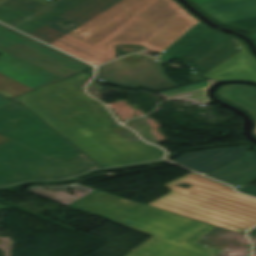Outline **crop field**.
Here are the masks:
<instances>
[{
    "label": "crop field",
    "instance_id": "e52e79f7",
    "mask_svg": "<svg viewBox=\"0 0 256 256\" xmlns=\"http://www.w3.org/2000/svg\"><path fill=\"white\" fill-rule=\"evenodd\" d=\"M0 50L62 79L90 68L2 26H0Z\"/></svg>",
    "mask_w": 256,
    "mask_h": 256
},
{
    "label": "crop field",
    "instance_id": "00972430",
    "mask_svg": "<svg viewBox=\"0 0 256 256\" xmlns=\"http://www.w3.org/2000/svg\"><path fill=\"white\" fill-rule=\"evenodd\" d=\"M5 1H7V0H0V4L3 3V2H5Z\"/></svg>",
    "mask_w": 256,
    "mask_h": 256
},
{
    "label": "crop field",
    "instance_id": "ac0d7876",
    "mask_svg": "<svg viewBox=\"0 0 256 256\" xmlns=\"http://www.w3.org/2000/svg\"><path fill=\"white\" fill-rule=\"evenodd\" d=\"M87 78L83 72L16 99L104 167L161 158L163 150L142 141L130 143L108 127L107 110L83 92Z\"/></svg>",
    "mask_w": 256,
    "mask_h": 256
},
{
    "label": "crop field",
    "instance_id": "8a807250",
    "mask_svg": "<svg viewBox=\"0 0 256 256\" xmlns=\"http://www.w3.org/2000/svg\"><path fill=\"white\" fill-rule=\"evenodd\" d=\"M50 22L29 35L98 65L115 58L116 44L160 53L199 21L173 0H85Z\"/></svg>",
    "mask_w": 256,
    "mask_h": 256
},
{
    "label": "crop field",
    "instance_id": "4177f3b9",
    "mask_svg": "<svg viewBox=\"0 0 256 256\" xmlns=\"http://www.w3.org/2000/svg\"><path fill=\"white\" fill-rule=\"evenodd\" d=\"M255 134H256V130H255Z\"/></svg>",
    "mask_w": 256,
    "mask_h": 256
},
{
    "label": "crop field",
    "instance_id": "412701ff",
    "mask_svg": "<svg viewBox=\"0 0 256 256\" xmlns=\"http://www.w3.org/2000/svg\"><path fill=\"white\" fill-rule=\"evenodd\" d=\"M176 183L194 187L185 189ZM162 187L172 191L148 205L239 233L256 224V200L227 186L190 173Z\"/></svg>",
    "mask_w": 256,
    "mask_h": 256
},
{
    "label": "crop field",
    "instance_id": "92a150f3",
    "mask_svg": "<svg viewBox=\"0 0 256 256\" xmlns=\"http://www.w3.org/2000/svg\"><path fill=\"white\" fill-rule=\"evenodd\" d=\"M11 102L10 100L0 96V106L5 105L7 103Z\"/></svg>",
    "mask_w": 256,
    "mask_h": 256
},
{
    "label": "crop field",
    "instance_id": "733c2abd",
    "mask_svg": "<svg viewBox=\"0 0 256 256\" xmlns=\"http://www.w3.org/2000/svg\"><path fill=\"white\" fill-rule=\"evenodd\" d=\"M46 156L13 141L0 145V161L40 159Z\"/></svg>",
    "mask_w": 256,
    "mask_h": 256
},
{
    "label": "crop field",
    "instance_id": "d8731c3e",
    "mask_svg": "<svg viewBox=\"0 0 256 256\" xmlns=\"http://www.w3.org/2000/svg\"><path fill=\"white\" fill-rule=\"evenodd\" d=\"M162 62L143 55H130L98 69L96 79L137 88L156 91L177 87L164 74Z\"/></svg>",
    "mask_w": 256,
    "mask_h": 256
},
{
    "label": "crop field",
    "instance_id": "28ad6ade",
    "mask_svg": "<svg viewBox=\"0 0 256 256\" xmlns=\"http://www.w3.org/2000/svg\"><path fill=\"white\" fill-rule=\"evenodd\" d=\"M0 95L9 99L61 80L16 57L0 51Z\"/></svg>",
    "mask_w": 256,
    "mask_h": 256
},
{
    "label": "crop field",
    "instance_id": "dafd665d",
    "mask_svg": "<svg viewBox=\"0 0 256 256\" xmlns=\"http://www.w3.org/2000/svg\"><path fill=\"white\" fill-rule=\"evenodd\" d=\"M251 36L256 39V33L255 34H251Z\"/></svg>",
    "mask_w": 256,
    "mask_h": 256
},
{
    "label": "crop field",
    "instance_id": "cbeb9de0",
    "mask_svg": "<svg viewBox=\"0 0 256 256\" xmlns=\"http://www.w3.org/2000/svg\"><path fill=\"white\" fill-rule=\"evenodd\" d=\"M244 155V158L207 176L241 187L256 181V152L250 150Z\"/></svg>",
    "mask_w": 256,
    "mask_h": 256
},
{
    "label": "crop field",
    "instance_id": "bc2a9ffb",
    "mask_svg": "<svg viewBox=\"0 0 256 256\" xmlns=\"http://www.w3.org/2000/svg\"><path fill=\"white\" fill-rule=\"evenodd\" d=\"M239 191L256 196V187L251 185L245 188L239 189Z\"/></svg>",
    "mask_w": 256,
    "mask_h": 256
},
{
    "label": "crop field",
    "instance_id": "214f88e0",
    "mask_svg": "<svg viewBox=\"0 0 256 256\" xmlns=\"http://www.w3.org/2000/svg\"><path fill=\"white\" fill-rule=\"evenodd\" d=\"M202 80H206L204 78H201V77H198L192 73H190V78H189V81L195 83V82H199V81H202Z\"/></svg>",
    "mask_w": 256,
    "mask_h": 256
},
{
    "label": "crop field",
    "instance_id": "d9b57169",
    "mask_svg": "<svg viewBox=\"0 0 256 256\" xmlns=\"http://www.w3.org/2000/svg\"><path fill=\"white\" fill-rule=\"evenodd\" d=\"M240 54L241 52L239 51L236 54L232 55L208 73L206 72L207 74H203V77L208 78L210 80H220L227 78H242L256 80V76L237 68Z\"/></svg>",
    "mask_w": 256,
    "mask_h": 256
},
{
    "label": "crop field",
    "instance_id": "3316defc",
    "mask_svg": "<svg viewBox=\"0 0 256 256\" xmlns=\"http://www.w3.org/2000/svg\"><path fill=\"white\" fill-rule=\"evenodd\" d=\"M27 1L28 0H8L0 5V22L12 27L52 3L40 0ZM82 1L84 0H59L54 5L33 16L15 29L29 34Z\"/></svg>",
    "mask_w": 256,
    "mask_h": 256
},
{
    "label": "crop field",
    "instance_id": "34b2d1b8",
    "mask_svg": "<svg viewBox=\"0 0 256 256\" xmlns=\"http://www.w3.org/2000/svg\"><path fill=\"white\" fill-rule=\"evenodd\" d=\"M69 207L153 235L127 256H216L220 251L197 243L213 229L205 223L95 190Z\"/></svg>",
    "mask_w": 256,
    "mask_h": 256
},
{
    "label": "crop field",
    "instance_id": "4a817a6b",
    "mask_svg": "<svg viewBox=\"0 0 256 256\" xmlns=\"http://www.w3.org/2000/svg\"><path fill=\"white\" fill-rule=\"evenodd\" d=\"M234 42L238 45V47L241 49L242 52L240 62H239V68L248 71L254 75H256V60H254L247 52L245 46L239 42L237 39L231 37ZM232 40V41H233Z\"/></svg>",
    "mask_w": 256,
    "mask_h": 256
},
{
    "label": "crop field",
    "instance_id": "a9b5d70f",
    "mask_svg": "<svg viewBox=\"0 0 256 256\" xmlns=\"http://www.w3.org/2000/svg\"><path fill=\"white\" fill-rule=\"evenodd\" d=\"M251 231H254V232H256V228H255V229H253V230H251Z\"/></svg>",
    "mask_w": 256,
    "mask_h": 256
},
{
    "label": "crop field",
    "instance_id": "5a996713",
    "mask_svg": "<svg viewBox=\"0 0 256 256\" xmlns=\"http://www.w3.org/2000/svg\"><path fill=\"white\" fill-rule=\"evenodd\" d=\"M98 168L86 156L0 162V186L28 179H63Z\"/></svg>",
    "mask_w": 256,
    "mask_h": 256
},
{
    "label": "crop field",
    "instance_id": "22f410ed",
    "mask_svg": "<svg viewBox=\"0 0 256 256\" xmlns=\"http://www.w3.org/2000/svg\"><path fill=\"white\" fill-rule=\"evenodd\" d=\"M248 150L246 146L208 149L188 153L174 161L207 175L243 157Z\"/></svg>",
    "mask_w": 256,
    "mask_h": 256
},
{
    "label": "crop field",
    "instance_id": "f4fd0767",
    "mask_svg": "<svg viewBox=\"0 0 256 256\" xmlns=\"http://www.w3.org/2000/svg\"><path fill=\"white\" fill-rule=\"evenodd\" d=\"M0 135L50 158L84 155L31 111L14 102L0 107Z\"/></svg>",
    "mask_w": 256,
    "mask_h": 256
},
{
    "label": "crop field",
    "instance_id": "d1516ede",
    "mask_svg": "<svg viewBox=\"0 0 256 256\" xmlns=\"http://www.w3.org/2000/svg\"><path fill=\"white\" fill-rule=\"evenodd\" d=\"M225 26L256 29V0H192Z\"/></svg>",
    "mask_w": 256,
    "mask_h": 256
},
{
    "label": "crop field",
    "instance_id": "5142ce71",
    "mask_svg": "<svg viewBox=\"0 0 256 256\" xmlns=\"http://www.w3.org/2000/svg\"><path fill=\"white\" fill-rule=\"evenodd\" d=\"M218 95L248 110L256 119V89L232 85L221 87Z\"/></svg>",
    "mask_w": 256,
    "mask_h": 256
},
{
    "label": "crop field",
    "instance_id": "dd49c442",
    "mask_svg": "<svg viewBox=\"0 0 256 256\" xmlns=\"http://www.w3.org/2000/svg\"><path fill=\"white\" fill-rule=\"evenodd\" d=\"M237 50L239 48L229 36L212 32L199 22L157 59L167 62L180 58L193 67L192 72L201 75Z\"/></svg>",
    "mask_w": 256,
    "mask_h": 256
}]
</instances>
